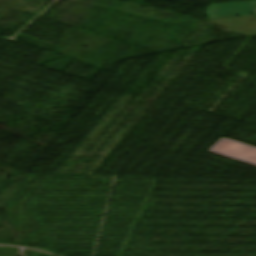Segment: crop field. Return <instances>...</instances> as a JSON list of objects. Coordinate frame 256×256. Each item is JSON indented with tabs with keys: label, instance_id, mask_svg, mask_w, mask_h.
Instances as JSON below:
<instances>
[{
	"label": "crop field",
	"instance_id": "crop-field-1",
	"mask_svg": "<svg viewBox=\"0 0 256 256\" xmlns=\"http://www.w3.org/2000/svg\"><path fill=\"white\" fill-rule=\"evenodd\" d=\"M209 152L256 166V148L222 138Z\"/></svg>",
	"mask_w": 256,
	"mask_h": 256
},
{
	"label": "crop field",
	"instance_id": "crop-field-2",
	"mask_svg": "<svg viewBox=\"0 0 256 256\" xmlns=\"http://www.w3.org/2000/svg\"><path fill=\"white\" fill-rule=\"evenodd\" d=\"M207 13L209 18L255 15L256 1L210 5Z\"/></svg>",
	"mask_w": 256,
	"mask_h": 256
}]
</instances>
